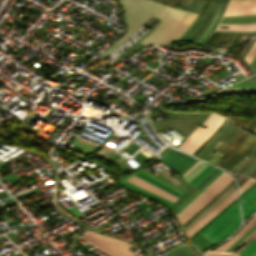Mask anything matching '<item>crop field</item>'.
<instances>
[{"label": "crop field", "instance_id": "63", "mask_svg": "<svg viewBox=\"0 0 256 256\" xmlns=\"http://www.w3.org/2000/svg\"><path fill=\"white\" fill-rule=\"evenodd\" d=\"M255 132H256V130H255Z\"/></svg>", "mask_w": 256, "mask_h": 256}, {"label": "crop field", "instance_id": "56", "mask_svg": "<svg viewBox=\"0 0 256 256\" xmlns=\"http://www.w3.org/2000/svg\"><path fill=\"white\" fill-rule=\"evenodd\" d=\"M226 0H224L223 2L225 3ZM228 2V0L226 1V3Z\"/></svg>", "mask_w": 256, "mask_h": 256}, {"label": "crop field", "instance_id": "6", "mask_svg": "<svg viewBox=\"0 0 256 256\" xmlns=\"http://www.w3.org/2000/svg\"><path fill=\"white\" fill-rule=\"evenodd\" d=\"M160 160L177 172L180 176L186 172L197 160L171 148Z\"/></svg>", "mask_w": 256, "mask_h": 256}, {"label": "crop field", "instance_id": "14", "mask_svg": "<svg viewBox=\"0 0 256 256\" xmlns=\"http://www.w3.org/2000/svg\"><path fill=\"white\" fill-rule=\"evenodd\" d=\"M121 185L126 186V187H128V188H130L132 190H135V191H137V192H139L141 194H144V195H146V196H148L150 198H153L156 201H158V202H160V203H162V204H164V205H166L168 207L172 204V202H170V201H168V200H166V199H164L162 197H159V196H157V195H155L153 193H150V192H148L146 190H143V189H141V188H139V187H137V186L127 182V181L123 182Z\"/></svg>", "mask_w": 256, "mask_h": 256}, {"label": "crop field", "instance_id": "3", "mask_svg": "<svg viewBox=\"0 0 256 256\" xmlns=\"http://www.w3.org/2000/svg\"><path fill=\"white\" fill-rule=\"evenodd\" d=\"M240 223L237 201L199 234L212 243L227 237Z\"/></svg>", "mask_w": 256, "mask_h": 256}, {"label": "crop field", "instance_id": "28", "mask_svg": "<svg viewBox=\"0 0 256 256\" xmlns=\"http://www.w3.org/2000/svg\"><path fill=\"white\" fill-rule=\"evenodd\" d=\"M218 254H219V253L208 252V253H206V254H204V255H202V256H216V255H218ZM218 256H235V255L230 254V253H221V254H219Z\"/></svg>", "mask_w": 256, "mask_h": 256}, {"label": "crop field", "instance_id": "33", "mask_svg": "<svg viewBox=\"0 0 256 256\" xmlns=\"http://www.w3.org/2000/svg\"><path fill=\"white\" fill-rule=\"evenodd\" d=\"M250 236L253 237V238H256V229H255L252 233H250L240 244H242V243H243L246 239H248ZM240 244H239V245H240ZM239 245H237L234 249H236ZM234 249H233V250H234ZM233 250H232V251H233ZM232 251H231V252H232Z\"/></svg>", "mask_w": 256, "mask_h": 256}, {"label": "crop field", "instance_id": "21", "mask_svg": "<svg viewBox=\"0 0 256 256\" xmlns=\"http://www.w3.org/2000/svg\"><path fill=\"white\" fill-rule=\"evenodd\" d=\"M256 252V240L249 244L238 256H252Z\"/></svg>", "mask_w": 256, "mask_h": 256}, {"label": "crop field", "instance_id": "50", "mask_svg": "<svg viewBox=\"0 0 256 256\" xmlns=\"http://www.w3.org/2000/svg\"><path fill=\"white\" fill-rule=\"evenodd\" d=\"M215 5H216V4H215ZM215 5H214V8H215ZM214 8H213V10H214ZM212 12H213V11H212ZM204 27H205V26H204ZM202 30H203V29H202ZM202 30H201V31H202ZM200 33H201V32H200ZM200 33L195 37V39L200 35ZM195 39H194V40H195ZM194 40H193V41H194Z\"/></svg>", "mask_w": 256, "mask_h": 256}, {"label": "crop field", "instance_id": "4", "mask_svg": "<svg viewBox=\"0 0 256 256\" xmlns=\"http://www.w3.org/2000/svg\"><path fill=\"white\" fill-rule=\"evenodd\" d=\"M225 117L211 113L208 118L201 124L208 126L205 129L197 127L194 132L178 147L188 153H192L204 142L221 124Z\"/></svg>", "mask_w": 256, "mask_h": 256}, {"label": "crop field", "instance_id": "49", "mask_svg": "<svg viewBox=\"0 0 256 256\" xmlns=\"http://www.w3.org/2000/svg\"><path fill=\"white\" fill-rule=\"evenodd\" d=\"M254 172H256V168L252 172H250L248 175L251 176Z\"/></svg>", "mask_w": 256, "mask_h": 256}, {"label": "crop field", "instance_id": "62", "mask_svg": "<svg viewBox=\"0 0 256 256\" xmlns=\"http://www.w3.org/2000/svg\"><path fill=\"white\" fill-rule=\"evenodd\" d=\"M241 166H242V165H241ZM241 166H240V167H241ZM240 167H239V168H240ZM235 171H236V170H235ZM235 171H234V172H235Z\"/></svg>", "mask_w": 256, "mask_h": 256}, {"label": "crop field", "instance_id": "19", "mask_svg": "<svg viewBox=\"0 0 256 256\" xmlns=\"http://www.w3.org/2000/svg\"><path fill=\"white\" fill-rule=\"evenodd\" d=\"M214 167L208 165L200 174H198L190 183L193 185H197L202 179H204L212 170Z\"/></svg>", "mask_w": 256, "mask_h": 256}, {"label": "crop field", "instance_id": "1", "mask_svg": "<svg viewBox=\"0 0 256 256\" xmlns=\"http://www.w3.org/2000/svg\"><path fill=\"white\" fill-rule=\"evenodd\" d=\"M126 16L127 32L99 57L102 59L135 33L151 15L161 22L140 43L151 46L178 39L197 16L196 13L171 8L149 0H119Z\"/></svg>", "mask_w": 256, "mask_h": 256}, {"label": "crop field", "instance_id": "22", "mask_svg": "<svg viewBox=\"0 0 256 256\" xmlns=\"http://www.w3.org/2000/svg\"><path fill=\"white\" fill-rule=\"evenodd\" d=\"M229 120L226 118V120L223 122V124L217 129V131L204 143L201 145V147L196 150L192 155L196 156L221 130L222 128L226 125V123Z\"/></svg>", "mask_w": 256, "mask_h": 256}, {"label": "crop field", "instance_id": "11", "mask_svg": "<svg viewBox=\"0 0 256 256\" xmlns=\"http://www.w3.org/2000/svg\"><path fill=\"white\" fill-rule=\"evenodd\" d=\"M241 203L244 220L249 214L256 211V186L241 198Z\"/></svg>", "mask_w": 256, "mask_h": 256}, {"label": "crop field", "instance_id": "10", "mask_svg": "<svg viewBox=\"0 0 256 256\" xmlns=\"http://www.w3.org/2000/svg\"><path fill=\"white\" fill-rule=\"evenodd\" d=\"M127 181H129V182H131L135 185H138V186H140V187H142L146 190H149V191H151L155 194H158V195H160V196H162V197H164V198H166V199H168L172 202H174L177 199V197H175V196H173V195H171V194L153 186L152 184L144 181L143 179H141V178H139L135 175L132 176L131 178H129Z\"/></svg>", "mask_w": 256, "mask_h": 256}, {"label": "crop field", "instance_id": "9", "mask_svg": "<svg viewBox=\"0 0 256 256\" xmlns=\"http://www.w3.org/2000/svg\"><path fill=\"white\" fill-rule=\"evenodd\" d=\"M237 197L236 191L233 192L229 197H227L223 202H221L216 208H214L211 212L205 215L200 221H198L194 226H192L189 230L186 231L188 237L193 235L203 224L209 221L213 216H215L221 209H223L226 205L231 203Z\"/></svg>", "mask_w": 256, "mask_h": 256}, {"label": "crop field", "instance_id": "59", "mask_svg": "<svg viewBox=\"0 0 256 256\" xmlns=\"http://www.w3.org/2000/svg\"><path fill=\"white\" fill-rule=\"evenodd\" d=\"M256 173H254L253 175H252V177L255 175Z\"/></svg>", "mask_w": 256, "mask_h": 256}, {"label": "crop field", "instance_id": "31", "mask_svg": "<svg viewBox=\"0 0 256 256\" xmlns=\"http://www.w3.org/2000/svg\"><path fill=\"white\" fill-rule=\"evenodd\" d=\"M256 167V161L251 164L245 171L242 172V174L247 175L250 171H252Z\"/></svg>", "mask_w": 256, "mask_h": 256}, {"label": "crop field", "instance_id": "58", "mask_svg": "<svg viewBox=\"0 0 256 256\" xmlns=\"http://www.w3.org/2000/svg\"><path fill=\"white\" fill-rule=\"evenodd\" d=\"M214 153H215V152H214ZM214 153H213V154H214ZM213 154H212V155H213ZM212 155H211V156H212ZM211 156H210V157H211ZM210 157H209V158H210ZM209 158H208V159H209ZM208 159H207V160H208Z\"/></svg>", "mask_w": 256, "mask_h": 256}, {"label": "crop field", "instance_id": "25", "mask_svg": "<svg viewBox=\"0 0 256 256\" xmlns=\"http://www.w3.org/2000/svg\"><path fill=\"white\" fill-rule=\"evenodd\" d=\"M256 143V140L255 142L244 152V153H247L253 146L254 144ZM242 154L238 159H236L226 170H230L234 165H236L243 157L246 156V154Z\"/></svg>", "mask_w": 256, "mask_h": 256}, {"label": "crop field", "instance_id": "48", "mask_svg": "<svg viewBox=\"0 0 256 256\" xmlns=\"http://www.w3.org/2000/svg\"><path fill=\"white\" fill-rule=\"evenodd\" d=\"M212 4H213V3H212ZM212 4H211V8H212ZM211 8H210V10H211ZM207 17H208V16H207ZM207 17H206V18H207ZM206 18H205V19H206ZM204 21H205V20H204ZM204 21H203V23H204ZM203 23L201 24V26L203 25ZM201 26H200V27H201ZM200 27H199V29H200ZM199 29H198V30H199ZM198 30L196 31V33L198 32ZM196 33H195V34H196ZM195 34H194V35H195ZM194 35H193V36H194ZM193 36H192V37H193ZM191 39H192V38H191ZM191 39H190V40H191Z\"/></svg>", "mask_w": 256, "mask_h": 256}, {"label": "crop field", "instance_id": "37", "mask_svg": "<svg viewBox=\"0 0 256 256\" xmlns=\"http://www.w3.org/2000/svg\"><path fill=\"white\" fill-rule=\"evenodd\" d=\"M218 34H219V33H216L215 37L207 44V46H209V45L212 43V41L218 36ZM221 35H222V33L219 34V36L213 41V43L210 45V47H212V45H213L216 41H218V39L220 38Z\"/></svg>", "mask_w": 256, "mask_h": 256}, {"label": "crop field", "instance_id": "57", "mask_svg": "<svg viewBox=\"0 0 256 256\" xmlns=\"http://www.w3.org/2000/svg\"><path fill=\"white\" fill-rule=\"evenodd\" d=\"M255 159H256V158H255ZM254 161H255V160H254ZM249 165H250V164H249ZM249 165H248V166H249ZM248 166H247V167H248ZM247 167H246V168H247ZM246 168H245V169H246ZM241 172H242V171H241Z\"/></svg>", "mask_w": 256, "mask_h": 256}, {"label": "crop field", "instance_id": "8", "mask_svg": "<svg viewBox=\"0 0 256 256\" xmlns=\"http://www.w3.org/2000/svg\"><path fill=\"white\" fill-rule=\"evenodd\" d=\"M256 14V0H231L223 16Z\"/></svg>", "mask_w": 256, "mask_h": 256}, {"label": "crop field", "instance_id": "60", "mask_svg": "<svg viewBox=\"0 0 256 256\" xmlns=\"http://www.w3.org/2000/svg\"><path fill=\"white\" fill-rule=\"evenodd\" d=\"M253 256H256V253Z\"/></svg>", "mask_w": 256, "mask_h": 256}, {"label": "crop field", "instance_id": "30", "mask_svg": "<svg viewBox=\"0 0 256 256\" xmlns=\"http://www.w3.org/2000/svg\"><path fill=\"white\" fill-rule=\"evenodd\" d=\"M190 2H191V0H182V1L179 3L178 7H182V8L187 9V7H188V5L190 4Z\"/></svg>", "mask_w": 256, "mask_h": 256}, {"label": "crop field", "instance_id": "38", "mask_svg": "<svg viewBox=\"0 0 256 256\" xmlns=\"http://www.w3.org/2000/svg\"><path fill=\"white\" fill-rule=\"evenodd\" d=\"M250 156L247 155L245 158H243L235 167H233L230 171L233 172L237 167H239L246 159H248Z\"/></svg>", "mask_w": 256, "mask_h": 256}, {"label": "crop field", "instance_id": "36", "mask_svg": "<svg viewBox=\"0 0 256 256\" xmlns=\"http://www.w3.org/2000/svg\"><path fill=\"white\" fill-rule=\"evenodd\" d=\"M221 155H219V154H215L213 157H211L209 160H208V162H210V163H215L217 160H218V158L220 157Z\"/></svg>", "mask_w": 256, "mask_h": 256}, {"label": "crop field", "instance_id": "7", "mask_svg": "<svg viewBox=\"0 0 256 256\" xmlns=\"http://www.w3.org/2000/svg\"><path fill=\"white\" fill-rule=\"evenodd\" d=\"M241 129H237V131L232 135V137L222 146V148L217 152L221 155H223L229 148L230 146L238 139V137L243 133ZM247 135V133H243L239 139L231 146V148L220 158L224 159L239 143L240 141ZM252 135V134H251ZM251 135H247L241 143L224 159L222 163L219 164V166H223L235 153H237L242 146L247 142V140L251 137Z\"/></svg>", "mask_w": 256, "mask_h": 256}, {"label": "crop field", "instance_id": "2", "mask_svg": "<svg viewBox=\"0 0 256 256\" xmlns=\"http://www.w3.org/2000/svg\"><path fill=\"white\" fill-rule=\"evenodd\" d=\"M233 178L223 172L215 179L203 192H201L189 205L176 214L181 225L191 219L200 209H202L211 199L221 192Z\"/></svg>", "mask_w": 256, "mask_h": 256}, {"label": "crop field", "instance_id": "54", "mask_svg": "<svg viewBox=\"0 0 256 256\" xmlns=\"http://www.w3.org/2000/svg\"><path fill=\"white\" fill-rule=\"evenodd\" d=\"M180 1H181V0H178V1L175 3V6H177Z\"/></svg>", "mask_w": 256, "mask_h": 256}, {"label": "crop field", "instance_id": "55", "mask_svg": "<svg viewBox=\"0 0 256 256\" xmlns=\"http://www.w3.org/2000/svg\"><path fill=\"white\" fill-rule=\"evenodd\" d=\"M209 16H210V15H209ZM208 18H209V17H208ZM208 18H207V20H208ZM207 20H206V22H207ZM206 22H205V23H206ZM205 23H204V24H205ZM203 26H204V25H203ZM203 26H202V28H203ZM202 28H201V29H202ZM201 29H200V30H201ZM200 30H199V31H200ZM198 33H199V32H198ZM191 41H192V40H191Z\"/></svg>", "mask_w": 256, "mask_h": 256}, {"label": "crop field", "instance_id": "35", "mask_svg": "<svg viewBox=\"0 0 256 256\" xmlns=\"http://www.w3.org/2000/svg\"><path fill=\"white\" fill-rule=\"evenodd\" d=\"M233 121L244 128H246V126L249 124V122H247V121H239V120H233Z\"/></svg>", "mask_w": 256, "mask_h": 256}, {"label": "crop field", "instance_id": "12", "mask_svg": "<svg viewBox=\"0 0 256 256\" xmlns=\"http://www.w3.org/2000/svg\"><path fill=\"white\" fill-rule=\"evenodd\" d=\"M233 189H234V186H233V183H232V184H231L228 188H226L218 197H216L208 206H206L198 215H196L188 224H186V225L183 227V229L185 230L187 227H189L193 222H195L199 217H201L206 211H208L212 206H214L219 200H221L225 195H227V194H228L231 190H233ZM233 191H234V190H233ZM233 191H231L229 194H231ZM229 194H228V195H229ZM228 195H227V196H228ZM227 196H225L221 201H223ZM221 201H219L214 207H216ZM214 207H212L210 210H212ZM210 210H209V211H210ZM209 211H208V212H209ZM208 212H206L205 214H207ZM205 214H204V215H205ZM204 215H203V216H204ZM203 216H202V217H203ZM202 217H201V218H202ZM199 219H200V218H199ZM199 219H198V220H199ZM198 220H197V221H198ZM197 221H196V222H197ZM196 222H195V223H196ZM193 224H194V223H193ZM193 224H192V225H193ZM192 225H191V226H192ZM191 226H190V227H191ZM190 227H189V228H190ZM186 230H187V229H186ZM186 230H185V231H186Z\"/></svg>", "mask_w": 256, "mask_h": 256}, {"label": "crop field", "instance_id": "46", "mask_svg": "<svg viewBox=\"0 0 256 256\" xmlns=\"http://www.w3.org/2000/svg\"><path fill=\"white\" fill-rule=\"evenodd\" d=\"M198 162H199V161H198ZM198 162H197V163H198ZM197 163H196V164H197ZM196 164L193 165L186 173H184V174L182 175V177H183L184 175H186L189 171H191V170L196 166Z\"/></svg>", "mask_w": 256, "mask_h": 256}, {"label": "crop field", "instance_id": "24", "mask_svg": "<svg viewBox=\"0 0 256 256\" xmlns=\"http://www.w3.org/2000/svg\"><path fill=\"white\" fill-rule=\"evenodd\" d=\"M256 55V42L253 44L249 52L245 56L246 62L249 64L253 57Z\"/></svg>", "mask_w": 256, "mask_h": 256}, {"label": "crop field", "instance_id": "27", "mask_svg": "<svg viewBox=\"0 0 256 256\" xmlns=\"http://www.w3.org/2000/svg\"><path fill=\"white\" fill-rule=\"evenodd\" d=\"M256 228V225L252 227L246 234H244L238 241H236L229 249L226 251H230L233 247H235L242 239H244L250 232H252Z\"/></svg>", "mask_w": 256, "mask_h": 256}, {"label": "crop field", "instance_id": "41", "mask_svg": "<svg viewBox=\"0 0 256 256\" xmlns=\"http://www.w3.org/2000/svg\"><path fill=\"white\" fill-rule=\"evenodd\" d=\"M242 36V34H238V36L235 38V40L231 43L230 46L234 45L237 43V41L239 40V38Z\"/></svg>", "mask_w": 256, "mask_h": 256}, {"label": "crop field", "instance_id": "5", "mask_svg": "<svg viewBox=\"0 0 256 256\" xmlns=\"http://www.w3.org/2000/svg\"><path fill=\"white\" fill-rule=\"evenodd\" d=\"M87 233V232H86ZM111 256H132L134 252L127 250L130 246L113 239L88 232L81 236Z\"/></svg>", "mask_w": 256, "mask_h": 256}, {"label": "crop field", "instance_id": "44", "mask_svg": "<svg viewBox=\"0 0 256 256\" xmlns=\"http://www.w3.org/2000/svg\"><path fill=\"white\" fill-rule=\"evenodd\" d=\"M225 35H226V33H223L220 40L213 47H216L222 41V39L225 37Z\"/></svg>", "mask_w": 256, "mask_h": 256}, {"label": "crop field", "instance_id": "43", "mask_svg": "<svg viewBox=\"0 0 256 256\" xmlns=\"http://www.w3.org/2000/svg\"><path fill=\"white\" fill-rule=\"evenodd\" d=\"M215 35V32L211 34V36L205 41L204 45H206Z\"/></svg>", "mask_w": 256, "mask_h": 256}, {"label": "crop field", "instance_id": "16", "mask_svg": "<svg viewBox=\"0 0 256 256\" xmlns=\"http://www.w3.org/2000/svg\"><path fill=\"white\" fill-rule=\"evenodd\" d=\"M218 26H229V28H217L216 30H223V31H256V24H252V25H218Z\"/></svg>", "mask_w": 256, "mask_h": 256}, {"label": "crop field", "instance_id": "40", "mask_svg": "<svg viewBox=\"0 0 256 256\" xmlns=\"http://www.w3.org/2000/svg\"><path fill=\"white\" fill-rule=\"evenodd\" d=\"M219 9H220V8H218V10H217V13H216V16H215V18H214L213 23L215 22V20H216V18H217V14H218ZM213 23L210 25V27L213 25ZM210 27L207 29V31L210 29ZM207 31L204 33V35L207 33ZM204 35H203V36H204ZM203 36L200 38V40L203 38ZM200 40L198 41V43L200 42Z\"/></svg>", "mask_w": 256, "mask_h": 256}, {"label": "crop field", "instance_id": "52", "mask_svg": "<svg viewBox=\"0 0 256 256\" xmlns=\"http://www.w3.org/2000/svg\"><path fill=\"white\" fill-rule=\"evenodd\" d=\"M202 1L215 2V0H202Z\"/></svg>", "mask_w": 256, "mask_h": 256}, {"label": "crop field", "instance_id": "42", "mask_svg": "<svg viewBox=\"0 0 256 256\" xmlns=\"http://www.w3.org/2000/svg\"><path fill=\"white\" fill-rule=\"evenodd\" d=\"M254 159V157H252L249 161H247L240 169H238L236 171V173H238L243 167H245L250 161H252Z\"/></svg>", "mask_w": 256, "mask_h": 256}, {"label": "crop field", "instance_id": "13", "mask_svg": "<svg viewBox=\"0 0 256 256\" xmlns=\"http://www.w3.org/2000/svg\"><path fill=\"white\" fill-rule=\"evenodd\" d=\"M255 224H256V215L231 240L221 245L214 251H225L228 247H230L236 240H238L244 233H246Z\"/></svg>", "mask_w": 256, "mask_h": 256}, {"label": "crop field", "instance_id": "39", "mask_svg": "<svg viewBox=\"0 0 256 256\" xmlns=\"http://www.w3.org/2000/svg\"><path fill=\"white\" fill-rule=\"evenodd\" d=\"M210 4V3H209ZM209 4H208V6H209ZM208 6H207V8H206V10L204 11V13H203V15H202V17H201V19L198 21V23L195 25V27L193 28V30L188 34V36L194 31V29L199 25V23H200V21L202 20V18L204 17V15H205V13H206V11H207V9H208ZM187 36V37H188ZM186 37V38H187ZM185 38V39H186Z\"/></svg>", "mask_w": 256, "mask_h": 256}, {"label": "crop field", "instance_id": "61", "mask_svg": "<svg viewBox=\"0 0 256 256\" xmlns=\"http://www.w3.org/2000/svg\"><path fill=\"white\" fill-rule=\"evenodd\" d=\"M254 155H256V152L254 153Z\"/></svg>", "mask_w": 256, "mask_h": 256}, {"label": "crop field", "instance_id": "26", "mask_svg": "<svg viewBox=\"0 0 256 256\" xmlns=\"http://www.w3.org/2000/svg\"><path fill=\"white\" fill-rule=\"evenodd\" d=\"M254 181H255V179L249 178L245 183H243V184L239 187L240 194H241L246 188H248Z\"/></svg>", "mask_w": 256, "mask_h": 256}, {"label": "crop field", "instance_id": "51", "mask_svg": "<svg viewBox=\"0 0 256 256\" xmlns=\"http://www.w3.org/2000/svg\"><path fill=\"white\" fill-rule=\"evenodd\" d=\"M234 132H235V131H234ZM234 132H233V133H234ZM233 133H232V134H233ZM230 135H231V134H230ZM230 135H229V136H230ZM229 136H228V137H229ZM228 137H227V138H228ZM227 138H226V139H227ZM229 138H230V137H229ZM229 138H228V139H229ZM228 139H227V140H228ZM227 140H226V141H227ZM224 142H225V141H224ZM224 142H223V143H224ZM223 143H222V144H223ZM222 144H221V145H222ZM221 145H220V146H221ZM219 149H220V148H218V150H219Z\"/></svg>", "mask_w": 256, "mask_h": 256}, {"label": "crop field", "instance_id": "18", "mask_svg": "<svg viewBox=\"0 0 256 256\" xmlns=\"http://www.w3.org/2000/svg\"><path fill=\"white\" fill-rule=\"evenodd\" d=\"M207 166V164L202 163V161H200L197 166L191 171L189 172L186 176H184L183 178H185L187 181H191L198 173H200L205 167Z\"/></svg>", "mask_w": 256, "mask_h": 256}, {"label": "crop field", "instance_id": "23", "mask_svg": "<svg viewBox=\"0 0 256 256\" xmlns=\"http://www.w3.org/2000/svg\"><path fill=\"white\" fill-rule=\"evenodd\" d=\"M256 139L255 136H252L251 139L245 144V146L237 153L235 154L232 159L223 166V168H227L238 156H240L242 154V152H244L246 150V148Z\"/></svg>", "mask_w": 256, "mask_h": 256}, {"label": "crop field", "instance_id": "47", "mask_svg": "<svg viewBox=\"0 0 256 256\" xmlns=\"http://www.w3.org/2000/svg\"><path fill=\"white\" fill-rule=\"evenodd\" d=\"M217 143H218V141L214 144V146H215ZM214 146H213V147H214ZM213 147H212V148H213ZM212 148H211V149H212ZM211 149H210V150H211ZM210 150H209L207 153H205L201 158L203 159V158L210 152Z\"/></svg>", "mask_w": 256, "mask_h": 256}, {"label": "crop field", "instance_id": "29", "mask_svg": "<svg viewBox=\"0 0 256 256\" xmlns=\"http://www.w3.org/2000/svg\"><path fill=\"white\" fill-rule=\"evenodd\" d=\"M198 189H194L188 196H186L178 205H176L174 208H172L174 211L182 205L192 194H194Z\"/></svg>", "mask_w": 256, "mask_h": 256}, {"label": "crop field", "instance_id": "15", "mask_svg": "<svg viewBox=\"0 0 256 256\" xmlns=\"http://www.w3.org/2000/svg\"><path fill=\"white\" fill-rule=\"evenodd\" d=\"M256 22V15L254 16H240V17H223L220 24L225 23H252Z\"/></svg>", "mask_w": 256, "mask_h": 256}, {"label": "crop field", "instance_id": "32", "mask_svg": "<svg viewBox=\"0 0 256 256\" xmlns=\"http://www.w3.org/2000/svg\"><path fill=\"white\" fill-rule=\"evenodd\" d=\"M140 172H142V173L146 174L147 176L151 177L152 179H154V180H156V181H158V182L162 183L163 185H165V186H167V187H169V188H171V189H173V190H175V191L179 192L178 190H176V189L172 188L171 186H169V185H167V184H165V183H163V182H161V181L157 180L156 178L152 177L151 175L147 174L146 172H144V171H142V170H141ZM179 193H181V192H179ZM181 194H183V193H181Z\"/></svg>", "mask_w": 256, "mask_h": 256}, {"label": "crop field", "instance_id": "20", "mask_svg": "<svg viewBox=\"0 0 256 256\" xmlns=\"http://www.w3.org/2000/svg\"><path fill=\"white\" fill-rule=\"evenodd\" d=\"M135 175H137V176L143 178L144 180H146V181H148V182H150V183H152V184H154V185H156V186H158V187H160V188H162V189H164V190H166V191H168V192H170V193H172V194H174V195H176V196H178V197L181 196V195L175 193L174 191L168 189L167 187L161 185L160 183H158V182L152 180L151 178L145 176L144 174H142V173H140V172L137 173V174H135Z\"/></svg>", "mask_w": 256, "mask_h": 256}, {"label": "crop field", "instance_id": "34", "mask_svg": "<svg viewBox=\"0 0 256 256\" xmlns=\"http://www.w3.org/2000/svg\"><path fill=\"white\" fill-rule=\"evenodd\" d=\"M256 121V117L250 122V124L247 126V129L250 130V128L253 126V124L255 123ZM256 129V123L254 124V126L251 128V131L254 132V130Z\"/></svg>", "mask_w": 256, "mask_h": 256}, {"label": "crop field", "instance_id": "45", "mask_svg": "<svg viewBox=\"0 0 256 256\" xmlns=\"http://www.w3.org/2000/svg\"><path fill=\"white\" fill-rule=\"evenodd\" d=\"M229 36V33H227V35H226V37L223 39V41L217 46V48H219L222 44H223V42L227 39V37Z\"/></svg>", "mask_w": 256, "mask_h": 256}, {"label": "crop field", "instance_id": "17", "mask_svg": "<svg viewBox=\"0 0 256 256\" xmlns=\"http://www.w3.org/2000/svg\"><path fill=\"white\" fill-rule=\"evenodd\" d=\"M222 171H218L208 182H206L193 196H191L181 207H179L175 214L181 211L189 202H191L202 190H204L216 177H218Z\"/></svg>", "mask_w": 256, "mask_h": 256}, {"label": "crop field", "instance_id": "53", "mask_svg": "<svg viewBox=\"0 0 256 256\" xmlns=\"http://www.w3.org/2000/svg\"><path fill=\"white\" fill-rule=\"evenodd\" d=\"M255 147H256V144H255V146H254L248 153H251Z\"/></svg>", "mask_w": 256, "mask_h": 256}]
</instances>
